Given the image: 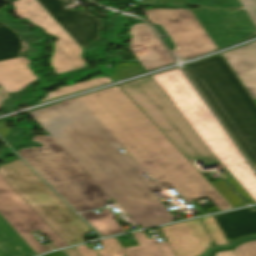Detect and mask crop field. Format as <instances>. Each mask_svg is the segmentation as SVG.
Here are the masks:
<instances>
[{
	"label": "crop field",
	"instance_id": "crop-field-38",
	"mask_svg": "<svg viewBox=\"0 0 256 256\" xmlns=\"http://www.w3.org/2000/svg\"><path fill=\"white\" fill-rule=\"evenodd\" d=\"M5 154H7V152H6V151H4V150H0V158H1L2 156H4Z\"/></svg>",
	"mask_w": 256,
	"mask_h": 256
},
{
	"label": "crop field",
	"instance_id": "crop-field-13",
	"mask_svg": "<svg viewBox=\"0 0 256 256\" xmlns=\"http://www.w3.org/2000/svg\"><path fill=\"white\" fill-rule=\"evenodd\" d=\"M176 256H199L211 243L200 219L161 228Z\"/></svg>",
	"mask_w": 256,
	"mask_h": 256
},
{
	"label": "crop field",
	"instance_id": "crop-field-30",
	"mask_svg": "<svg viewBox=\"0 0 256 256\" xmlns=\"http://www.w3.org/2000/svg\"><path fill=\"white\" fill-rule=\"evenodd\" d=\"M208 198L212 200L220 210L233 208L221 194L208 196Z\"/></svg>",
	"mask_w": 256,
	"mask_h": 256
},
{
	"label": "crop field",
	"instance_id": "crop-field-16",
	"mask_svg": "<svg viewBox=\"0 0 256 256\" xmlns=\"http://www.w3.org/2000/svg\"><path fill=\"white\" fill-rule=\"evenodd\" d=\"M23 57L0 62V86L7 92H19L37 79Z\"/></svg>",
	"mask_w": 256,
	"mask_h": 256
},
{
	"label": "crop field",
	"instance_id": "crop-field-37",
	"mask_svg": "<svg viewBox=\"0 0 256 256\" xmlns=\"http://www.w3.org/2000/svg\"><path fill=\"white\" fill-rule=\"evenodd\" d=\"M8 96L9 95L0 87V105H1V100Z\"/></svg>",
	"mask_w": 256,
	"mask_h": 256
},
{
	"label": "crop field",
	"instance_id": "crop-field-9",
	"mask_svg": "<svg viewBox=\"0 0 256 256\" xmlns=\"http://www.w3.org/2000/svg\"><path fill=\"white\" fill-rule=\"evenodd\" d=\"M12 5L19 17L29 19L44 29L46 34L57 38L56 43H54L53 58L50 62L57 74L81 68L85 65L80 57L82 47L71 38L37 0H18Z\"/></svg>",
	"mask_w": 256,
	"mask_h": 256
},
{
	"label": "crop field",
	"instance_id": "crop-field-18",
	"mask_svg": "<svg viewBox=\"0 0 256 256\" xmlns=\"http://www.w3.org/2000/svg\"><path fill=\"white\" fill-rule=\"evenodd\" d=\"M33 249L0 215V256H35Z\"/></svg>",
	"mask_w": 256,
	"mask_h": 256
},
{
	"label": "crop field",
	"instance_id": "crop-field-11",
	"mask_svg": "<svg viewBox=\"0 0 256 256\" xmlns=\"http://www.w3.org/2000/svg\"><path fill=\"white\" fill-rule=\"evenodd\" d=\"M38 1L83 48L99 38L100 18L89 15L83 9L66 10L63 6L69 2L64 0Z\"/></svg>",
	"mask_w": 256,
	"mask_h": 256
},
{
	"label": "crop field",
	"instance_id": "crop-field-33",
	"mask_svg": "<svg viewBox=\"0 0 256 256\" xmlns=\"http://www.w3.org/2000/svg\"><path fill=\"white\" fill-rule=\"evenodd\" d=\"M144 1H149V0H144ZM160 2H167V3H171V4H180L183 3L182 0H158Z\"/></svg>",
	"mask_w": 256,
	"mask_h": 256
},
{
	"label": "crop field",
	"instance_id": "crop-field-24",
	"mask_svg": "<svg viewBox=\"0 0 256 256\" xmlns=\"http://www.w3.org/2000/svg\"><path fill=\"white\" fill-rule=\"evenodd\" d=\"M187 4L208 7L214 10H236L241 6L237 0H183Z\"/></svg>",
	"mask_w": 256,
	"mask_h": 256
},
{
	"label": "crop field",
	"instance_id": "crop-field-6",
	"mask_svg": "<svg viewBox=\"0 0 256 256\" xmlns=\"http://www.w3.org/2000/svg\"><path fill=\"white\" fill-rule=\"evenodd\" d=\"M120 87L187 157H215L199 140L151 76Z\"/></svg>",
	"mask_w": 256,
	"mask_h": 256
},
{
	"label": "crop field",
	"instance_id": "crop-field-17",
	"mask_svg": "<svg viewBox=\"0 0 256 256\" xmlns=\"http://www.w3.org/2000/svg\"><path fill=\"white\" fill-rule=\"evenodd\" d=\"M9 8H11L9 5L0 8V22L14 29L22 39L26 48L21 52V56L29 58L30 60H36L42 49L37 48L33 45L40 44L44 42L47 38L41 36V33L34 29H31L20 23H14L9 20L6 12V9Z\"/></svg>",
	"mask_w": 256,
	"mask_h": 256
},
{
	"label": "crop field",
	"instance_id": "crop-field-1",
	"mask_svg": "<svg viewBox=\"0 0 256 256\" xmlns=\"http://www.w3.org/2000/svg\"><path fill=\"white\" fill-rule=\"evenodd\" d=\"M29 114L142 228L175 217L152 192L143 170L186 201L219 192L119 87Z\"/></svg>",
	"mask_w": 256,
	"mask_h": 256
},
{
	"label": "crop field",
	"instance_id": "crop-field-36",
	"mask_svg": "<svg viewBox=\"0 0 256 256\" xmlns=\"http://www.w3.org/2000/svg\"><path fill=\"white\" fill-rule=\"evenodd\" d=\"M66 252H67L68 256H78L75 248L67 249Z\"/></svg>",
	"mask_w": 256,
	"mask_h": 256
},
{
	"label": "crop field",
	"instance_id": "crop-field-10",
	"mask_svg": "<svg viewBox=\"0 0 256 256\" xmlns=\"http://www.w3.org/2000/svg\"><path fill=\"white\" fill-rule=\"evenodd\" d=\"M191 11L217 48L256 36V28L254 29L243 10L213 12L196 8Z\"/></svg>",
	"mask_w": 256,
	"mask_h": 256
},
{
	"label": "crop field",
	"instance_id": "crop-field-12",
	"mask_svg": "<svg viewBox=\"0 0 256 256\" xmlns=\"http://www.w3.org/2000/svg\"><path fill=\"white\" fill-rule=\"evenodd\" d=\"M130 49L147 71L176 63L147 24L130 28Z\"/></svg>",
	"mask_w": 256,
	"mask_h": 256
},
{
	"label": "crop field",
	"instance_id": "crop-field-4",
	"mask_svg": "<svg viewBox=\"0 0 256 256\" xmlns=\"http://www.w3.org/2000/svg\"><path fill=\"white\" fill-rule=\"evenodd\" d=\"M32 141L53 144L43 149H23L18 154L44 177L77 212L103 207L112 198L51 137L37 135Z\"/></svg>",
	"mask_w": 256,
	"mask_h": 256
},
{
	"label": "crop field",
	"instance_id": "crop-field-5",
	"mask_svg": "<svg viewBox=\"0 0 256 256\" xmlns=\"http://www.w3.org/2000/svg\"><path fill=\"white\" fill-rule=\"evenodd\" d=\"M0 174L69 245L92 231L22 160L0 165Z\"/></svg>",
	"mask_w": 256,
	"mask_h": 256
},
{
	"label": "crop field",
	"instance_id": "crop-field-22",
	"mask_svg": "<svg viewBox=\"0 0 256 256\" xmlns=\"http://www.w3.org/2000/svg\"><path fill=\"white\" fill-rule=\"evenodd\" d=\"M104 249L98 250L100 256H125L123 248L119 245L116 238H110L101 241ZM80 256H97L94 250H88L86 245L76 247Z\"/></svg>",
	"mask_w": 256,
	"mask_h": 256
},
{
	"label": "crop field",
	"instance_id": "crop-field-3",
	"mask_svg": "<svg viewBox=\"0 0 256 256\" xmlns=\"http://www.w3.org/2000/svg\"><path fill=\"white\" fill-rule=\"evenodd\" d=\"M184 68L252 164H256V102L222 54Z\"/></svg>",
	"mask_w": 256,
	"mask_h": 256
},
{
	"label": "crop field",
	"instance_id": "crop-field-7",
	"mask_svg": "<svg viewBox=\"0 0 256 256\" xmlns=\"http://www.w3.org/2000/svg\"><path fill=\"white\" fill-rule=\"evenodd\" d=\"M145 13L153 25L162 24L172 36L180 49L173 52L179 61L217 50L190 9H153Z\"/></svg>",
	"mask_w": 256,
	"mask_h": 256
},
{
	"label": "crop field",
	"instance_id": "crop-field-41",
	"mask_svg": "<svg viewBox=\"0 0 256 256\" xmlns=\"http://www.w3.org/2000/svg\"><path fill=\"white\" fill-rule=\"evenodd\" d=\"M204 8V7H203ZM205 9H208V8H205ZM209 10H211V9H209ZM214 11V10H213Z\"/></svg>",
	"mask_w": 256,
	"mask_h": 256
},
{
	"label": "crop field",
	"instance_id": "crop-field-39",
	"mask_svg": "<svg viewBox=\"0 0 256 256\" xmlns=\"http://www.w3.org/2000/svg\"><path fill=\"white\" fill-rule=\"evenodd\" d=\"M0 1L10 2V1H13V0H0Z\"/></svg>",
	"mask_w": 256,
	"mask_h": 256
},
{
	"label": "crop field",
	"instance_id": "crop-field-21",
	"mask_svg": "<svg viewBox=\"0 0 256 256\" xmlns=\"http://www.w3.org/2000/svg\"><path fill=\"white\" fill-rule=\"evenodd\" d=\"M23 48L16 32L0 24V61L20 56Z\"/></svg>",
	"mask_w": 256,
	"mask_h": 256
},
{
	"label": "crop field",
	"instance_id": "crop-field-35",
	"mask_svg": "<svg viewBox=\"0 0 256 256\" xmlns=\"http://www.w3.org/2000/svg\"><path fill=\"white\" fill-rule=\"evenodd\" d=\"M201 215L206 214L194 201L190 202Z\"/></svg>",
	"mask_w": 256,
	"mask_h": 256
},
{
	"label": "crop field",
	"instance_id": "crop-field-23",
	"mask_svg": "<svg viewBox=\"0 0 256 256\" xmlns=\"http://www.w3.org/2000/svg\"><path fill=\"white\" fill-rule=\"evenodd\" d=\"M110 82H113L110 78L97 77L83 83H78L74 86L60 88L52 93H49L45 99L41 100V102Z\"/></svg>",
	"mask_w": 256,
	"mask_h": 256
},
{
	"label": "crop field",
	"instance_id": "crop-field-2",
	"mask_svg": "<svg viewBox=\"0 0 256 256\" xmlns=\"http://www.w3.org/2000/svg\"><path fill=\"white\" fill-rule=\"evenodd\" d=\"M200 140L256 202V174L181 68L152 76Z\"/></svg>",
	"mask_w": 256,
	"mask_h": 256
},
{
	"label": "crop field",
	"instance_id": "crop-field-19",
	"mask_svg": "<svg viewBox=\"0 0 256 256\" xmlns=\"http://www.w3.org/2000/svg\"><path fill=\"white\" fill-rule=\"evenodd\" d=\"M133 236L140 246L124 248L127 256H175L168 241L157 243L155 239H147L143 231Z\"/></svg>",
	"mask_w": 256,
	"mask_h": 256
},
{
	"label": "crop field",
	"instance_id": "crop-field-34",
	"mask_svg": "<svg viewBox=\"0 0 256 256\" xmlns=\"http://www.w3.org/2000/svg\"><path fill=\"white\" fill-rule=\"evenodd\" d=\"M217 256H236V255L234 254V252L232 250V251L220 252L217 254Z\"/></svg>",
	"mask_w": 256,
	"mask_h": 256
},
{
	"label": "crop field",
	"instance_id": "crop-field-25",
	"mask_svg": "<svg viewBox=\"0 0 256 256\" xmlns=\"http://www.w3.org/2000/svg\"><path fill=\"white\" fill-rule=\"evenodd\" d=\"M211 183L234 208L246 205L223 179L212 181Z\"/></svg>",
	"mask_w": 256,
	"mask_h": 256
},
{
	"label": "crop field",
	"instance_id": "crop-field-28",
	"mask_svg": "<svg viewBox=\"0 0 256 256\" xmlns=\"http://www.w3.org/2000/svg\"><path fill=\"white\" fill-rule=\"evenodd\" d=\"M233 250L237 256H256V241L245 243Z\"/></svg>",
	"mask_w": 256,
	"mask_h": 256
},
{
	"label": "crop field",
	"instance_id": "crop-field-32",
	"mask_svg": "<svg viewBox=\"0 0 256 256\" xmlns=\"http://www.w3.org/2000/svg\"><path fill=\"white\" fill-rule=\"evenodd\" d=\"M4 124H5L4 120L0 121V136H2L3 138H6L10 131V128L5 126Z\"/></svg>",
	"mask_w": 256,
	"mask_h": 256
},
{
	"label": "crop field",
	"instance_id": "crop-field-27",
	"mask_svg": "<svg viewBox=\"0 0 256 256\" xmlns=\"http://www.w3.org/2000/svg\"><path fill=\"white\" fill-rule=\"evenodd\" d=\"M204 227L206 228L209 235L212 236L216 245L217 244H227L221 229L219 228L218 224L214 220L213 216L202 218L201 219Z\"/></svg>",
	"mask_w": 256,
	"mask_h": 256
},
{
	"label": "crop field",
	"instance_id": "crop-field-26",
	"mask_svg": "<svg viewBox=\"0 0 256 256\" xmlns=\"http://www.w3.org/2000/svg\"><path fill=\"white\" fill-rule=\"evenodd\" d=\"M146 72L141 64H122L115 68V76H110L114 81Z\"/></svg>",
	"mask_w": 256,
	"mask_h": 256
},
{
	"label": "crop field",
	"instance_id": "crop-field-40",
	"mask_svg": "<svg viewBox=\"0 0 256 256\" xmlns=\"http://www.w3.org/2000/svg\"><path fill=\"white\" fill-rule=\"evenodd\" d=\"M253 208V210H256V206H254V207H252Z\"/></svg>",
	"mask_w": 256,
	"mask_h": 256
},
{
	"label": "crop field",
	"instance_id": "crop-field-20",
	"mask_svg": "<svg viewBox=\"0 0 256 256\" xmlns=\"http://www.w3.org/2000/svg\"><path fill=\"white\" fill-rule=\"evenodd\" d=\"M98 211L100 214L91 211L82 213L81 215L102 237L125 231L124 228L111 217L113 215L108 208L99 209Z\"/></svg>",
	"mask_w": 256,
	"mask_h": 256
},
{
	"label": "crop field",
	"instance_id": "crop-field-31",
	"mask_svg": "<svg viewBox=\"0 0 256 256\" xmlns=\"http://www.w3.org/2000/svg\"><path fill=\"white\" fill-rule=\"evenodd\" d=\"M256 24V0H240Z\"/></svg>",
	"mask_w": 256,
	"mask_h": 256
},
{
	"label": "crop field",
	"instance_id": "crop-field-8",
	"mask_svg": "<svg viewBox=\"0 0 256 256\" xmlns=\"http://www.w3.org/2000/svg\"><path fill=\"white\" fill-rule=\"evenodd\" d=\"M0 214L39 254L45 247L30 233L39 229L57 248L68 245L0 175Z\"/></svg>",
	"mask_w": 256,
	"mask_h": 256
},
{
	"label": "crop field",
	"instance_id": "crop-field-14",
	"mask_svg": "<svg viewBox=\"0 0 256 256\" xmlns=\"http://www.w3.org/2000/svg\"><path fill=\"white\" fill-rule=\"evenodd\" d=\"M252 96H256V43L223 53Z\"/></svg>",
	"mask_w": 256,
	"mask_h": 256
},
{
	"label": "crop field",
	"instance_id": "crop-field-15",
	"mask_svg": "<svg viewBox=\"0 0 256 256\" xmlns=\"http://www.w3.org/2000/svg\"><path fill=\"white\" fill-rule=\"evenodd\" d=\"M226 239L256 234V211L251 207L214 216Z\"/></svg>",
	"mask_w": 256,
	"mask_h": 256
},
{
	"label": "crop field",
	"instance_id": "crop-field-29",
	"mask_svg": "<svg viewBox=\"0 0 256 256\" xmlns=\"http://www.w3.org/2000/svg\"><path fill=\"white\" fill-rule=\"evenodd\" d=\"M237 191L238 193L249 203L255 204L253 199L246 193V191L239 185V183L233 178L226 179Z\"/></svg>",
	"mask_w": 256,
	"mask_h": 256
}]
</instances>
